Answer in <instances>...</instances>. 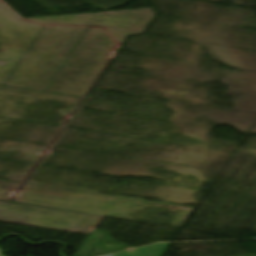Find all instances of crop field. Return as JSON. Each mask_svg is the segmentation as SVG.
<instances>
[{"label": "crop field", "mask_w": 256, "mask_h": 256, "mask_svg": "<svg viewBox=\"0 0 256 256\" xmlns=\"http://www.w3.org/2000/svg\"><path fill=\"white\" fill-rule=\"evenodd\" d=\"M2 252H3V251H2V250H0V256H2V255H1V253H2Z\"/></svg>", "instance_id": "obj_1"}]
</instances>
